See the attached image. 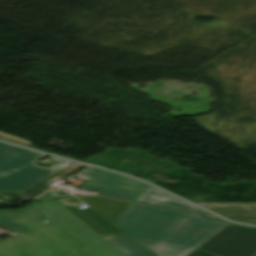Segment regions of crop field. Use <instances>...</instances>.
Masks as SVG:
<instances>
[{
	"label": "crop field",
	"instance_id": "8a807250",
	"mask_svg": "<svg viewBox=\"0 0 256 256\" xmlns=\"http://www.w3.org/2000/svg\"><path fill=\"white\" fill-rule=\"evenodd\" d=\"M114 224L159 256H184L229 225L138 202H134Z\"/></svg>",
	"mask_w": 256,
	"mask_h": 256
},
{
	"label": "crop field",
	"instance_id": "ac0d7876",
	"mask_svg": "<svg viewBox=\"0 0 256 256\" xmlns=\"http://www.w3.org/2000/svg\"><path fill=\"white\" fill-rule=\"evenodd\" d=\"M0 226L37 237L54 256H88L48 220L38 204L20 212H0Z\"/></svg>",
	"mask_w": 256,
	"mask_h": 256
},
{
	"label": "crop field",
	"instance_id": "34b2d1b8",
	"mask_svg": "<svg viewBox=\"0 0 256 256\" xmlns=\"http://www.w3.org/2000/svg\"><path fill=\"white\" fill-rule=\"evenodd\" d=\"M46 155L0 143V191L22 192L54 174L33 164Z\"/></svg>",
	"mask_w": 256,
	"mask_h": 256
},
{
	"label": "crop field",
	"instance_id": "412701ff",
	"mask_svg": "<svg viewBox=\"0 0 256 256\" xmlns=\"http://www.w3.org/2000/svg\"><path fill=\"white\" fill-rule=\"evenodd\" d=\"M39 205L49 220L89 256H122L57 201L53 200Z\"/></svg>",
	"mask_w": 256,
	"mask_h": 256
},
{
	"label": "crop field",
	"instance_id": "f4fd0767",
	"mask_svg": "<svg viewBox=\"0 0 256 256\" xmlns=\"http://www.w3.org/2000/svg\"><path fill=\"white\" fill-rule=\"evenodd\" d=\"M57 201L93 229L123 256H155L92 209L79 210L76 208L74 205L81 203L76 198L71 197Z\"/></svg>",
	"mask_w": 256,
	"mask_h": 256
},
{
	"label": "crop field",
	"instance_id": "dd49c442",
	"mask_svg": "<svg viewBox=\"0 0 256 256\" xmlns=\"http://www.w3.org/2000/svg\"><path fill=\"white\" fill-rule=\"evenodd\" d=\"M88 180L81 188L102 196L136 199L149 185L113 172L90 167L75 175Z\"/></svg>",
	"mask_w": 256,
	"mask_h": 256
},
{
	"label": "crop field",
	"instance_id": "e52e79f7",
	"mask_svg": "<svg viewBox=\"0 0 256 256\" xmlns=\"http://www.w3.org/2000/svg\"><path fill=\"white\" fill-rule=\"evenodd\" d=\"M199 249L221 256H251L256 252V230L230 225Z\"/></svg>",
	"mask_w": 256,
	"mask_h": 256
},
{
	"label": "crop field",
	"instance_id": "d8731c3e",
	"mask_svg": "<svg viewBox=\"0 0 256 256\" xmlns=\"http://www.w3.org/2000/svg\"><path fill=\"white\" fill-rule=\"evenodd\" d=\"M0 256H53V254L37 238L20 234L0 242Z\"/></svg>",
	"mask_w": 256,
	"mask_h": 256
},
{
	"label": "crop field",
	"instance_id": "5a996713",
	"mask_svg": "<svg viewBox=\"0 0 256 256\" xmlns=\"http://www.w3.org/2000/svg\"><path fill=\"white\" fill-rule=\"evenodd\" d=\"M136 200L142 201V202H147V203H152V204H157L161 206H166V207H171V208H176L180 210H185L193 213H198L202 215H206L211 218L219 219L222 221L221 218H218L206 211H202L160 189H157L155 187L149 186ZM229 222V221H226ZM231 223V222H229Z\"/></svg>",
	"mask_w": 256,
	"mask_h": 256
},
{
	"label": "crop field",
	"instance_id": "3316defc",
	"mask_svg": "<svg viewBox=\"0 0 256 256\" xmlns=\"http://www.w3.org/2000/svg\"><path fill=\"white\" fill-rule=\"evenodd\" d=\"M236 222L256 224V203L199 204Z\"/></svg>",
	"mask_w": 256,
	"mask_h": 256
},
{
	"label": "crop field",
	"instance_id": "28ad6ade",
	"mask_svg": "<svg viewBox=\"0 0 256 256\" xmlns=\"http://www.w3.org/2000/svg\"><path fill=\"white\" fill-rule=\"evenodd\" d=\"M102 215L107 217L113 223L121 216V214L133 203L128 200H114L98 197H78Z\"/></svg>",
	"mask_w": 256,
	"mask_h": 256
},
{
	"label": "crop field",
	"instance_id": "d1516ede",
	"mask_svg": "<svg viewBox=\"0 0 256 256\" xmlns=\"http://www.w3.org/2000/svg\"><path fill=\"white\" fill-rule=\"evenodd\" d=\"M85 166L86 165H82V164L73 162V163L69 164L68 166L62 168L61 170L57 171V173L55 172L56 174H54L52 176L50 175L51 177H49L47 179L45 178L46 180H44L42 182L40 181L41 183L31 187L30 189H28L27 191H25L23 193H26L28 195L35 197V196L41 194L42 192L48 190L50 188L48 186L51 185V183L55 179L67 178Z\"/></svg>",
	"mask_w": 256,
	"mask_h": 256
},
{
	"label": "crop field",
	"instance_id": "22f410ed",
	"mask_svg": "<svg viewBox=\"0 0 256 256\" xmlns=\"http://www.w3.org/2000/svg\"><path fill=\"white\" fill-rule=\"evenodd\" d=\"M0 198L10 199V200L31 199L17 192H0Z\"/></svg>",
	"mask_w": 256,
	"mask_h": 256
},
{
	"label": "crop field",
	"instance_id": "cbeb9de0",
	"mask_svg": "<svg viewBox=\"0 0 256 256\" xmlns=\"http://www.w3.org/2000/svg\"><path fill=\"white\" fill-rule=\"evenodd\" d=\"M189 256H216V255L210 254L208 252L197 250V251L193 252L192 254H190Z\"/></svg>",
	"mask_w": 256,
	"mask_h": 256
},
{
	"label": "crop field",
	"instance_id": "5142ce71",
	"mask_svg": "<svg viewBox=\"0 0 256 256\" xmlns=\"http://www.w3.org/2000/svg\"><path fill=\"white\" fill-rule=\"evenodd\" d=\"M39 200H46V199H53L48 194L43 195L42 197L38 198Z\"/></svg>",
	"mask_w": 256,
	"mask_h": 256
},
{
	"label": "crop field",
	"instance_id": "d9b57169",
	"mask_svg": "<svg viewBox=\"0 0 256 256\" xmlns=\"http://www.w3.org/2000/svg\"><path fill=\"white\" fill-rule=\"evenodd\" d=\"M252 256H256V253L254 255H252Z\"/></svg>",
	"mask_w": 256,
	"mask_h": 256
}]
</instances>
